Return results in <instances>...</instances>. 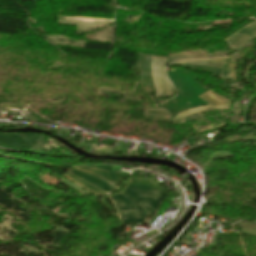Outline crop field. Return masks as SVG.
<instances>
[{"mask_svg":"<svg viewBox=\"0 0 256 256\" xmlns=\"http://www.w3.org/2000/svg\"><path fill=\"white\" fill-rule=\"evenodd\" d=\"M123 192L130 197L156 209L159 208L166 196V193L134 178L131 179L128 187Z\"/></svg>","mask_w":256,"mask_h":256,"instance_id":"crop-field-1","label":"crop field"},{"mask_svg":"<svg viewBox=\"0 0 256 256\" xmlns=\"http://www.w3.org/2000/svg\"><path fill=\"white\" fill-rule=\"evenodd\" d=\"M124 197L120 194L109 197L118 210L120 221L126 225L142 222L144 211L136 203L135 204L138 208Z\"/></svg>","mask_w":256,"mask_h":256,"instance_id":"crop-field-2","label":"crop field"},{"mask_svg":"<svg viewBox=\"0 0 256 256\" xmlns=\"http://www.w3.org/2000/svg\"><path fill=\"white\" fill-rule=\"evenodd\" d=\"M198 97H200L206 103L213 104V105H207V106H202V107H198V108H194V109H190V110H185V111L179 113L173 119H171L174 122V124L190 115H193V114L202 113V112H206V111L213 110V109H228L229 108L230 100H227V99L219 96L218 94L214 93L212 91V89Z\"/></svg>","mask_w":256,"mask_h":256,"instance_id":"crop-field-3","label":"crop field"},{"mask_svg":"<svg viewBox=\"0 0 256 256\" xmlns=\"http://www.w3.org/2000/svg\"><path fill=\"white\" fill-rule=\"evenodd\" d=\"M167 59L152 57L151 73L156 86V97L172 95L173 88L165 74Z\"/></svg>","mask_w":256,"mask_h":256,"instance_id":"crop-field-4","label":"crop field"},{"mask_svg":"<svg viewBox=\"0 0 256 256\" xmlns=\"http://www.w3.org/2000/svg\"><path fill=\"white\" fill-rule=\"evenodd\" d=\"M256 21L250 23L249 25L243 27L242 29H240L238 32H236L235 34H233L232 36L236 35L237 33H239L240 31L244 30L245 28L255 24ZM232 36H230L229 38H231ZM256 37V24L245 29L244 31H242L241 33L237 34L236 36H234L233 38L229 39L230 42L233 44V46L235 47V49H237L238 47H240L241 45L245 44L247 41H249L251 38ZM227 40V42L229 43V45L231 46V48L234 50V52H237L240 48L244 47L245 45H247L249 42H251L252 40L256 39H251L249 42H247L245 45H243L242 47L238 48L237 50L234 49V47L231 45V43L229 42V40Z\"/></svg>","mask_w":256,"mask_h":256,"instance_id":"crop-field-5","label":"crop field"},{"mask_svg":"<svg viewBox=\"0 0 256 256\" xmlns=\"http://www.w3.org/2000/svg\"><path fill=\"white\" fill-rule=\"evenodd\" d=\"M236 58L237 56L223 58L220 78L235 81Z\"/></svg>","mask_w":256,"mask_h":256,"instance_id":"crop-field-6","label":"crop field"},{"mask_svg":"<svg viewBox=\"0 0 256 256\" xmlns=\"http://www.w3.org/2000/svg\"><path fill=\"white\" fill-rule=\"evenodd\" d=\"M69 174L95 186L96 188L100 189L102 192L106 193V192H110V191H113L114 189L109 186L108 184L92 177V176H88V175H84V174H80V173H77V172H74V171H70Z\"/></svg>","mask_w":256,"mask_h":256,"instance_id":"crop-field-7","label":"crop field"},{"mask_svg":"<svg viewBox=\"0 0 256 256\" xmlns=\"http://www.w3.org/2000/svg\"><path fill=\"white\" fill-rule=\"evenodd\" d=\"M76 169L82 170V171H86L89 173H92L96 176L102 177L104 178L107 182L113 184L115 187H118V184L120 183V181L122 179H124L125 176L123 175H116V174H110V173H103V172H98V171H94V170H89V169H83V168H77L74 167ZM73 168V169H74Z\"/></svg>","mask_w":256,"mask_h":256,"instance_id":"crop-field-8","label":"crop field"},{"mask_svg":"<svg viewBox=\"0 0 256 256\" xmlns=\"http://www.w3.org/2000/svg\"><path fill=\"white\" fill-rule=\"evenodd\" d=\"M220 61H221V58H216L211 60H189V61H181L176 63L201 65V66H215L220 68Z\"/></svg>","mask_w":256,"mask_h":256,"instance_id":"crop-field-9","label":"crop field"},{"mask_svg":"<svg viewBox=\"0 0 256 256\" xmlns=\"http://www.w3.org/2000/svg\"><path fill=\"white\" fill-rule=\"evenodd\" d=\"M64 177H66V178L72 180L73 182L79 184L80 186H82L83 188H85V189L91 191V192H92L93 194H95V195L101 194L99 191L93 189L94 187L91 188L92 186L90 187V186H88V185H86V184L80 182L79 180H77V179H75V178H73V177H71V176H69V175H67V174H66Z\"/></svg>","mask_w":256,"mask_h":256,"instance_id":"crop-field-10","label":"crop field"},{"mask_svg":"<svg viewBox=\"0 0 256 256\" xmlns=\"http://www.w3.org/2000/svg\"><path fill=\"white\" fill-rule=\"evenodd\" d=\"M77 167H83V168H89V169H96V170H102L106 172H110L112 166L107 165V166H77Z\"/></svg>","mask_w":256,"mask_h":256,"instance_id":"crop-field-11","label":"crop field"},{"mask_svg":"<svg viewBox=\"0 0 256 256\" xmlns=\"http://www.w3.org/2000/svg\"><path fill=\"white\" fill-rule=\"evenodd\" d=\"M122 193V192H121ZM124 194V193H123ZM125 195V194H124ZM127 196V195H126ZM128 197V196H127ZM130 198V197H129ZM131 199V198H130ZM133 200V199H132ZM133 201H135V200H133ZM137 204H139L141 207H143L145 210H146V213H147V215H149V216H155V214H156V210H154V209H152V208H150V207H147V206H145V205H143V204H141V203H139V202H137V201H135Z\"/></svg>","mask_w":256,"mask_h":256,"instance_id":"crop-field-12","label":"crop field"}]
</instances>
